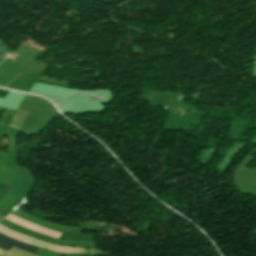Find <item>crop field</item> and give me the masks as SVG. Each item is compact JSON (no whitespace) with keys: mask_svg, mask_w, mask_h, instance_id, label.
Instances as JSON below:
<instances>
[{"mask_svg":"<svg viewBox=\"0 0 256 256\" xmlns=\"http://www.w3.org/2000/svg\"><path fill=\"white\" fill-rule=\"evenodd\" d=\"M13 246L23 249L25 251L31 252L33 254H35V252L38 250V247H34L31 245H27V244L18 242V241L11 239L3 234H0V247L1 248L9 250Z\"/></svg>","mask_w":256,"mask_h":256,"instance_id":"8a807250","label":"crop field"},{"mask_svg":"<svg viewBox=\"0 0 256 256\" xmlns=\"http://www.w3.org/2000/svg\"><path fill=\"white\" fill-rule=\"evenodd\" d=\"M28 113L29 111L17 110L12 119L10 126L15 129H19V127L21 126L22 122L24 121Z\"/></svg>","mask_w":256,"mask_h":256,"instance_id":"ac0d7876","label":"crop field"},{"mask_svg":"<svg viewBox=\"0 0 256 256\" xmlns=\"http://www.w3.org/2000/svg\"><path fill=\"white\" fill-rule=\"evenodd\" d=\"M9 93L8 90L0 89V97L4 98Z\"/></svg>","mask_w":256,"mask_h":256,"instance_id":"412701ff","label":"crop field"},{"mask_svg":"<svg viewBox=\"0 0 256 256\" xmlns=\"http://www.w3.org/2000/svg\"><path fill=\"white\" fill-rule=\"evenodd\" d=\"M4 254V256H36L33 255L31 253L19 250L15 247H13L12 249H10L8 252L1 250Z\"/></svg>","mask_w":256,"mask_h":256,"instance_id":"34b2d1b8","label":"crop field"}]
</instances>
